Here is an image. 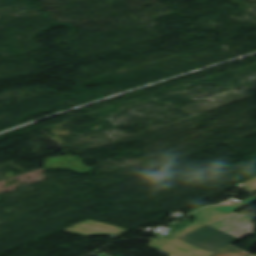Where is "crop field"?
<instances>
[{"label": "crop field", "mask_w": 256, "mask_h": 256, "mask_svg": "<svg viewBox=\"0 0 256 256\" xmlns=\"http://www.w3.org/2000/svg\"><path fill=\"white\" fill-rule=\"evenodd\" d=\"M239 186L251 193H254V192H256V178H254L244 184H241Z\"/></svg>", "instance_id": "obj_6"}, {"label": "crop field", "mask_w": 256, "mask_h": 256, "mask_svg": "<svg viewBox=\"0 0 256 256\" xmlns=\"http://www.w3.org/2000/svg\"><path fill=\"white\" fill-rule=\"evenodd\" d=\"M150 246L169 256H208L210 253L182 242L178 239L167 243L160 240H152ZM191 252V254H189Z\"/></svg>", "instance_id": "obj_3"}, {"label": "crop field", "mask_w": 256, "mask_h": 256, "mask_svg": "<svg viewBox=\"0 0 256 256\" xmlns=\"http://www.w3.org/2000/svg\"><path fill=\"white\" fill-rule=\"evenodd\" d=\"M96 228H98V230H96ZM65 231L79 234L82 236L109 235L111 237H115L121 233L126 232V230L124 229L101 224L91 220H87L85 222L74 225L70 228L65 229Z\"/></svg>", "instance_id": "obj_4"}, {"label": "crop field", "mask_w": 256, "mask_h": 256, "mask_svg": "<svg viewBox=\"0 0 256 256\" xmlns=\"http://www.w3.org/2000/svg\"><path fill=\"white\" fill-rule=\"evenodd\" d=\"M256 201V197H251L243 202H239L235 199L224 203L220 206H216V207H210V208H205L203 210H200L198 212H195L193 214H191V216H194L197 220L185 225V224H181L178 223L176 225H174L169 231L173 232L172 234L168 235L167 237L163 238L162 240H166V241H171L175 238H178L198 227H201L205 224H208L216 219H219L237 209H240L252 202Z\"/></svg>", "instance_id": "obj_1"}, {"label": "crop field", "mask_w": 256, "mask_h": 256, "mask_svg": "<svg viewBox=\"0 0 256 256\" xmlns=\"http://www.w3.org/2000/svg\"><path fill=\"white\" fill-rule=\"evenodd\" d=\"M211 256H253V255L231 245L215 254H212Z\"/></svg>", "instance_id": "obj_5"}, {"label": "crop field", "mask_w": 256, "mask_h": 256, "mask_svg": "<svg viewBox=\"0 0 256 256\" xmlns=\"http://www.w3.org/2000/svg\"><path fill=\"white\" fill-rule=\"evenodd\" d=\"M178 239L212 253L239 238L205 225Z\"/></svg>", "instance_id": "obj_2"}]
</instances>
